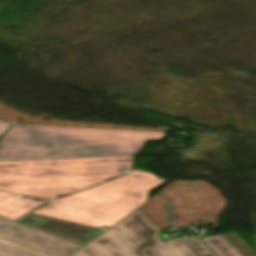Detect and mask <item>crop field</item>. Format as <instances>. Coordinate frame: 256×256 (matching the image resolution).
Instances as JSON below:
<instances>
[{
    "mask_svg": "<svg viewBox=\"0 0 256 256\" xmlns=\"http://www.w3.org/2000/svg\"><path fill=\"white\" fill-rule=\"evenodd\" d=\"M167 181L133 169L124 177L56 201L0 192V215L15 220L32 212L97 228L111 227L147 202L151 189Z\"/></svg>",
    "mask_w": 256,
    "mask_h": 256,
    "instance_id": "8a807250",
    "label": "crop field"
},
{
    "mask_svg": "<svg viewBox=\"0 0 256 256\" xmlns=\"http://www.w3.org/2000/svg\"><path fill=\"white\" fill-rule=\"evenodd\" d=\"M7 134L0 140V160L73 158L135 155L146 140L162 139L164 133L40 125Z\"/></svg>",
    "mask_w": 256,
    "mask_h": 256,
    "instance_id": "ac0d7876",
    "label": "crop field"
},
{
    "mask_svg": "<svg viewBox=\"0 0 256 256\" xmlns=\"http://www.w3.org/2000/svg\"><path fill=\"white\" fill-rule=\"evenodd\" d=\"M133 156L0 161V190L55 199L132 170Z\"/></svg>",
    "mask_w": 256,
    "mask_h": 256,
    "instance_id": "34b2d1b8",
    "label": "crop field"
},
{
    "mask_svg": "<svg viewBox=\"0 0 256 256\" xmlns=\"http://www.w3.org/2000/svg\"><path fill=\"white\" fill-rule=\"evenodd\" d=\"M139 208L73 256H216L198 238L164 243Z\"/></svg>",
    "mask_w": 256,
    "mask_h": 256,
    "instance_id": "412701ff",
    "label": "crop field"
},
{
    "mask_svg": "<svg viewBox=\"0 0 256 256\" xmlns=\"http://www.w3.org/2000/svg\"><path fill=\"white\" fill-rule=\"evenodd\" d=\"M84 246L0 216V256H72Z\"/></svg>",
    "mask_w": 256,
    "mask_h": 256,
    "instance_id": "f4fd0767",
    "label": "crop field"
},
{
    "mask_svg": "<svg viewBox=\"0 0 256 256\" xmlns=\"http://www.w3.org/2000/svg\"><path fill=\"white\" fill-rule=\"evenodd\" d=\"M202 240L219 256H256L237 234L204 237Z\"/></svg>",
    "mask_w": 256,
    "mask_h": 256,
    "instance_id": "dd49c442",
    "label": "crop field"
},
{
    "mask_svg": "<svg viewBox=\"0 0 256 256\" xmlns=\"http://www.w3.org/2000/svg\"><path fill=\"white\" fill-rule=\"evenodd\" d=\"M10 124L0 120V136H2L9 128Z\"/></svg>",
    "mask_w": 256,
    "mask_h": 256,
    "instance_id": "e52e79f7",
    "label": "crop field"
},
{
    "mask_svg": "<svg viewBox=\"0 0 256 256\" xmlns=\"http://www.w3.org/2000/svg\"><path fill=\"white\" fill-rule=\"evenodd\" d=\"M27 130L28 129H24V128L13 126L7 133H22V132H25Z\"/></svg>",
    "mask_w": 256,
    "mask_h": 256,
    "instance_id": "d8731c3e",
    "label": "crop field"
}]
</instances>
